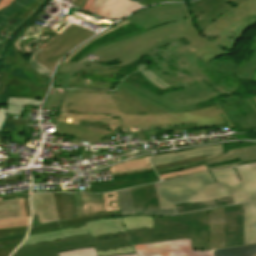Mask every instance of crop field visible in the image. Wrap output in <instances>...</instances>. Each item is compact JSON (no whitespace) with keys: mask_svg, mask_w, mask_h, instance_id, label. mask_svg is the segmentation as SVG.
<instances>
[{"mask_svg":"<svg viewBox=\"0 0 256 256\" xmlns=\"http://www.w3.org/2000/svg\"><path fill=\"white\" fill-rule=\"evenodd\" d=\"M126 19L148 32L105 47L99 46L89 53L98 57L94 61L59 65L53 86L67 88L71 75L78 73V70L101 71L122 67L148 54L158 64L151 71L179 91L157 96L128 79H124L119 88L167 113L187 112L219 103L232 123L241 125V130L256 127V115L245 103L243 96L222 98L198 106L222 93L234 92L241 83L233 77L237 69L235 60H213L207 65L178 41L184 38L178 26L184 25L185 19L181 4L149 7Z\"/></svg>","mask_w":256,"mask_h":256,"instance_id":"8a807250","label":"crop field"},{"mask_svg":"<svg viewBox=\"0 0 256 256\" xmlns=\"http://www.w3.org/2000/svg\"><path fill=\"white\" fill-rule=\"evenodd\" d=\"M66 91L52 88L42 109L60 107L59 112L62 113L115 114L121 118V128L166 125L194 120L198 125L161 131L222 124H228L230 128H234V125L218 104L187 113L167 114L119 88L115 90L114 94Z\"/></svg>","mask_w":256,"mask_h":256,"instance_id":"ac0d7876","label":"crop field"},{"mask_svg":"<svg viewBox=\"0 0 256 256\" xmlns=\"http://www.w3.org/2000/svg\"><path fill=\"white\" fill-rule=\"evenodd\" d=\"M160 209L231 196L243 207L244 245L256 244V164L229 167L154 184Z\"/></svg>","mask_w":256,"mask_h":256,"instance_id":"34b2d1b8","label":"crop field"},{"mask_svg":"<svg viewBox=\"0 0 256 256\" xmlns=\"http://www.w3.org/2000/svg\"><path fill=\"white\" fill-rule=\"evenodd\" d=\"M185 26H180L187 47L198 57L208 63L229 52L218 46L233 49L240 35L256 23V0H198L190 3L194 20L204 38L194 27L185 4Z\"/></svg>","mask_w":256,"mask_h":256,"instance_id":"412701ff","label":"crop field"},{"mask_svg":"<svg viewBox=\"0 0 256 256\" xmlns=\"http://www.w3.org/2000/svg\"><path fill=\"white\" fill-rule=\"evenodd\" d=\"M95 246L96 251L131 246L125 232L97 236L90 235L20 247L13 256H58L57 252Z\"/></svg>","mask_w":256,"mask_h":256,"instance_id":"f4fd0767","label":"crop field"},{"mask_svg":"<svg viewBox=\"0 0 256 256\" xmlns=\"http://www.w3.org/2000/svg\"><path fill=\"white\" fill-rule=\"evenodd\" d=\"M191 224L192 215L177 218L154 217V228L130 230L126 234L132 245L191 239Z\"/></svg>","mask_w":256,"mask_h":256,"instance_id":"dd49c442","label":"crop field"},{"mask_svg":"<svg viewBox=\"0 0 256 256\" xmlns=\"http://www.w3.org/2000/svg\"><path fill=\"white\" fill-rule=\"evenodd\" d=\"M94 35L93 32L87 29L73 25L49 44L47 48L39 54L37 59L47 68L53 70L56 63L66 53Z\"/></svg>","mask_w":256,"mask_h":256,"instance_id":"e52e79f7","label":"crop field"},{"mask_svg":"<svg viewBox=\"0 0 256 256\" xmlns=\"http://www.w3.org/2000/svg\"><path fill=\"white\" fill-rule=\"evenodd\" d=\"M139 256H212L210 250H191V240L160 242L135 246Z\"/></svg>","mask_w":256,"mask_h":256,"instance_id":"d8731c3e","label":"crop field"},{"mask_svg":"<svg viewBox=\"0 0 256 256\" xmlns=\"http://www.w3.org/2000/svg\"><path fill=\"white\" fill-rule=\"evenodd\" d=\"M118 196V206H119V213L121 217L126 216H136V215H152V216H164V217H177L183 215L194 214L200 211H208L210 209L227 207L234 205L233 203L221 206H215L211 208H205L185 213L177 214L176 209H168V210H141V209H133L129 190H122L117 192Z\"/></svg>","mask_w":256,"mask_h":256,"instance_id":"5a996713","label":"crop field"},{"mask_svg":"<svg viewBox=\"0 0 256 256\" xmlns=\"http://www.w3.org/2000/svg\"><path fill=\"white\" fill-rule=\"evenodd\" d=\"M79 73L80 76H77V74L72 76L68 88H97L109 90L112 77H119L120 75V67L101 72L79 71Z\"/></svg>","mask_w":256,"mask_h":256,"instance_id":"3316defc","label":"crop field"},{"mask_svg":"<svg viewBox=\"0 0 256 256\" xmlns=\"http://www.w3.org/2000/svg\"><path fill=\"white\" fill-rule=\"evenodd\" d=\"M243 245L241 205L225 208V246Z\"/></svg>","mask_w":256,"mask_h":256,"instance_id":"28ad6ade","label":"crop field"},{"mask_svg":"<svg viewBox=\"0 0 256 256\" xmlns=\"http://www.w3.org/2000/svg\"><path fill=\"white\" fill-rule=\"evenodd\" d=\"M114 115H94V114H62L58 121L66 122L67 118H73L72 124L115 131L120 128V119H112Z\"/></svg>","mask_w":256,"mask_h":256,"instance_id":"d1516ede","label":"crop field"},{"mask_svg":"<svg viewBox=\"0 0 256 256\" xmlns=\"http://www.w3.org/2000/svg\"><path fill=\"white\" fill-rule=\"evenodd\" d=\"M53 193L32 194L33 215H37L40 223L58 220L54 206Z\"/></svg>","mask_w":256,"mask_h":256,"instance_id":"22f410ed","label":"crop field"},{"mask_svg":"<svg viewBox=\"0 0 256 256\" xmlns=\"http://www.w3.org/2000/svg\"><path fill=\"white\" fill-rule=\"evenodd\" d=\"M209 248L224 246V208L207 212Z\"/></svg>","mask_w":256,"mask_h":256,"instance_id":"cbeb9de0","label":"crop field"},{"mask_svg":"<svg viewBox=\"0 0 256 256\" xmlns=\"http://www.w3.org/2000/svg\"><path fill=\"white\" fill-rule=\"evenodd\" d=\"M206 157H207V159L201 160L199 162H203V163H206L207 165H211V164L220 163V162L233 160V159H237V158H240V160H241V162H238V163H232V164H227V165H222V166L211 167L209 169L237 165V164H241L242 162L256 160V146L240 148V149H235V150H229L227 153L217 154V155H208Z\"/></svg>","mask_w":256,"mask_h":256,"instance_id":"5142ce71","label":"crop field"},{"mask_svg":"<svg viewBox=\"0 0 256 256\" xmlns=\"http://www.w3.org/2000/svg\"><path fill=\"white\" fill-rule=\"evenodd\" d=\"M56 133L96 143L111 131L87 128L58 122Z\"/></svg>","mask_w":256,"mask_h":256,"instance_id":"d9b57169","label":"crop field"},{"mask_svg":"<svg viewBox=\"0 0 256 256\" xmlns=\"http://www.w3.org/2000/svg\"><path fill=\"white\" fill-rule=\"evenodd\" d=\"M76 216L104 212L102 194H74Z\"/></svg>","mask_w":256,"mask_h":256,"instance_id":"733c2abd","label":"crop field"},{"mask_svg":"<svg viewBox=\"0 0 256 256\" xmlns=\"http://www.w3.org/2000/svg\"><path fill=\"white\" fill-rule=\"evenodd\" d=\"M236 64L239 66L236 71L237 77L251 81L256 69V36L247 44Z\"/></svg>","mask_w":256,"mask_h":256,"instance_id":"4a817a6b","label":"crop field"},{"mask_svg":"<svg viewBox=\"0 0 256 256\" xmlns=\"http://www.w3.org/2000/svg\"><path fill=\"white\" fill-rule=\"evenodd\" d=\"M129 190L134 208L159 209L157 195L153 184L131 188Z\"/></svg>","mask_w":256,"mask_h":256,"instance_id":"bc2a9ffb","label":"crop field"},{"mask_svg":"<svg viewBox=\"0 0 256 256\" xmlns=\"http://www.w3.org/2000/svg\"><path fill=\"white\" fill-rule=\"evenodd\" d=\"M139 8L141 7L130 0H106L97 15L119 19Z\"/></svg>","mask_w":256,"mask_h":256,"instance_id":"214f88e0","label":"crop field"},{"mask_svg":"<svg viewBox=\"0 0 256 256\" xmlns=\"http://www.w3.org/2000/svg\"><path fill=\"white\" fill-rule=\"evenodd\" d=\"M192 249H208L206 212L193 215Z\"/></svg>","mask_w":256,"mask_h":256,"instance_id":"92a150f3","label":"crop field"},{"mask_svg":"<svg viewBox=\"0 0 256 256\" xmlns=\"http://www.w3.org/2000/svg\"><path fill=\"white\" fill-rule=\"evenodd\" d=\"M85 224L91 237L125 231L120 217L99 219Z\"/></svg>","mask_w":256,"mask_h":256,"instance_id":"dafd665d","label":"crop field"},{"mask_svg":"<svg viewBox=\"0 0 256 256\" xmlns=\"http://www.w3.org/2000/svg\"><path fill=\"white\" fill-rule=\"evenodd\" d=\"M85 234H89L85 226L79 227V228H71V229L47 232V233L28 236L22 245L40 243L44 241L57 240V239L85 235Z\"/></svg>","mask_w":256,"mask_h":256,"instance_id":"00972430","label":"crop field"},{"mask_svg":"<svg viewBox=\"0 0 256 256\" xmlns=\"http://www.w3.org/2000/svg\"><path fill=\"white\" fill-rule=\"evenodd\" d=\"M159 181V178L149 179V180H127L121 181L116 183H109V184H90L91 186V193L95 192H108L112 190L128 188L138 185H143L151 182Z\"/></svg>","mask_w":256,"mask_h":256,"instance_id":"a9b5d70f","label":"crop field"},{"mask_svg":"<svg viewBox=\"0 0 256 256\" xmlns=\"http://www.w3.org/2000/svg\"><path fill=\"white\" fill-rule=\"evenodd\" d=\"M48 86L42 88L7 87V96L43 99Z\"/></svg>","mask_w":256,"mask_h":256,"instance_id":"4177f3b9","label":"crop field"},{"mask_svg":"<svg viewBox=\"0 0 256 256\" xmlns=\"http://www.w3.org/2000/svg\"><path fill=\"white\" fill-rule=\"evenodd\" d=\"M119 216L118 211L116 212H104V213H96L92 215H87V216H81V217H75L67 220H61L57 221L59 224V227H67V226H72V225H77V224H82L87 221H93L99 218H108V217H116Z\"/></svg>","mask_w":256,"mask_h":256,"instance_id":"730fd06b","label":"crop field"},{"mask_svg":"<svg viewBox=\"0 0 256 256\" xmlns=\"http://www.w3.org/2000/svg\"><path fill=\"white\" fill-rule=\"evenodd\" d=\"M6 85L9 86H24V87H36L32 82H30L26 78H21L12 73H5L1 76V87H0V94H3Z\"/></svg>","mask_w":256,"mask_h":256,"instance_id":"eef30255","label":"crop field"},{"mask_svg":"<svg viewBox=\"0 0 256 256\" xmlns=\"http://www.w3.org/2000/svg\"><path fill=\"white\" fill-rule=\"evenodd\" d=\"M21 217L19 200L0 201V220Z\"/></svg>","mask_w":256,"mask_h":256,"instance_id":"ae1a2a85","label":"crop field"},{"mask_svg":"<svg viewBox=\"0 0 256 256\" xmlns=\"http://www.w3.org/2000/svg\"><path fill=\"white\" fill-rule=\"evenodd\" d=\"M254 254H256V245L214 250V256H253Z\"/></svg>","mask_w":256,"mask_h":256,"instance_id":"d3111659","label":"crop field"},{"mask_svg":"<svg viewBox=\"0 0 256 256\" xmlns=\"http://www.w3.org/2000/svg\"><path fill=\"white\" fill-rule=\"evenodd\" d=\"M126 230L151 228L153 227V218L151 216H136L122 218Z\"/></svg>","mask_w":256,"mask_h":256,"instance_id":"750c4746","label":"crop field"},{"mask_svg":"<svg viewBox=\"0 0 256 256\" xmlns=\"http://www.w3.org/2000/svg\"><path fill=\"white\" fill-rule=\"evenodd\" d=\"M222 152L223 151H222V144H221L217 146L202 147V148H197L190 151L179 152L177 154L188 159L191 157L203 156L207 154H217Z\"/></svg>","mask_w":256,"mask_h":256,"instance_id":"bd1437ed","label":"crop field"},{"mask_svg":"<svg viewBox=\"0 0 256 256\" xmlns=\"http://www.w3.org/2000/svg\"><path fill=\"white\" fill-rule=\"evenodd\" d=\"M20 75L28 78L30 81H32L37 87H41L44 85L49 84V79H46L37 73H34V71L30 68L28 63L22 67L21 71L19 72Z\"/></svg>","mask_w":256,"mask_h":256,"instance_id":"1d83c4d3","label":"crop field"},{"mask_svg":"<svg viewBox=\"0 0 256 256\" xmlns=\"http://www.w3.org/2000/svg\"><path fill=\"white\" fill-rule=\"evenodd\" d=\"M232 200L230 197L221 199V200H216V201H211L207 203H197V204H189V205H181V206H176L178 213L180 212H185V211H190V210H195V209H200V208H205V207H211L215 205H221V204H227L231 203Z\"/></svg>","mask_w":256,"mask_h":256,"instance_id":"120bbe31","label":"crop field"},{"mask_svg":"<svg viewBox=\"0 0 256 256\" xmlns=\"http://www.w3.org/2000/svg\"><path fill=\"white\" fill-rule=\"evenodd\" d=\"M43 51V49L41 48H36L35 51L33 52L30 60H29V65H31V68L36 71L38 74L42 75V76H45L47 78L50 79L51 77V73L52 71H50L49 69H47L44 65H42L41 63H39L37 61V56L38 54Z\"/></svg>","mask_w":256,"mask_h":256,"instance_id":"d32e631a","label":"crop field"},{"mask_svg":"<svg viewBox=\"0 0 256 256\" xmlns=\"http://www.w3.org/2000/svg\"><path fill=\"white\" fill-rule=\"evenodd\" d=\"M130 22L126 21L125 19L120 21L119 23L115 24L114 26H112L111 28H109L108 30H106L105 32H103L102 34L96 36L95 38L89 40L88 42L82 44L81 46H79L77 49H75L73 52H71L61 63H65V62H69L71 60V58L77 54L79 51H81L84 47H86L88 44H90L91 42H93L94 40H96L97 38L115 30L118 29L126 24H128Z\"/></svg>","mask_w":256,"mask_h":256,"instance_id":"5866460e","label":"crop field"},{"mask_svg":"<svg viewBox=\"0 0 256 256\" xmlns=\"http://www.w3.org/2000/svg\"><path fill=\"white\" fill-rule=\"evenodd\" d=\"M138 70H140L144 76L154 85L161 89H165L167 86L163 81H161L156 75H154L150 70H144L146 66L144 64H139L136 66Z\"/></svg>","mask_w":256,"mask_h":256,"instance_id":"028f5c9d","label":"crop field"},{"mask_svg":"<svg viewBox=\"0 0 256 256\" xmlns=\"http://www.w3.org/2000/svg\"><path fill=\"white\" fill-rule=\"evenodd\" d=\"M58 254L59 256H96L94 247L61 252ZM116 256H136V254L116 255Z\"/></svg>","mask_w":256,"mask_h":256,"instance_id":"e1f06a70","label":"crop field"},{"mask_svg":"<svg viewBox=\"0 0 256 256\" xmlns=\"http://www.w3.org/2000/svg\"><path fill=\"white\" fill-rule=\"evenodd\" d=\"M65 219L75 216L72 193H62Z\"/></svg>","mask_w":256,"mask_h":256,"instance_id":"0bd39190","label":"crop field"},{"mask_svg":"<svg viewBox=\"0 0 256 256\" xmlns=\"http://www.w3.org/2000/svg\"><path fill=\"white\" fill-rule=\"evenodd\" d=\"M5 123L8 124H14L15 128L14 129H7V128H1L0 132H6V133H13L19 135L20 129L24 127L28 122H35V121H28V120H22V119H10L6 118Z\"/></svg>","mask_w":256,"mask_h":256,"instance_id":"b80d0937","label":"crop field"},{"mask_svg":"<svg viewBox=\"0 0 256 256\" xmlns=\"http://www.w3.org/2000/svg\"><path fill=\"white\" fill-rule=\"evenodd\" d=\"M105 211H116L117 206V196L116 192H110L103 194Z\"/></svg>","mask_w":256,"mask_h":256,"instance_id":"c035e120","label":"crop field"},{"mask_svg":"<svg viewBox=\"0 0 256 256\" xmlns=\"http://www.w3.org/2000/svg\"><path fill=\"white\" fill-rule=\"evenodd\" d=\"M178 160H184V159L176 156L173 153H170V154L154 156L150 159V162L152 163V165H155V164L167 163V162L178 161Z\"/></svg>","mask_w":256,"mask_h":256,"instance_id":"c21b1889","label":"crop field"},{"mask_svg":"<svg viewBox=\"0 0 256 256\" xmlns=\"http://www.w3.org/2000/svg\"><path fill=\"white\" fill-rule=\"evenodd\" d=\"M205 169H207V168L205 165H203L200 167H195V168L180 170V171H176V172L161 174L159 176H160L161 180H163V179H167V178H171V177H175V176H181V175H185V174H189V173H193V172H197V171H201V170H205Z\"/></svg>","mask_w":256,"mask_h":256,"instance_id":"03da06ac","label":"crop field"},{"mask_svg":"<svg viewBox=\"0 0 256 256\" xmlns=\"http://www.w3.org/2000/svg\"><path fill=\"white\" fill-rule=\"evenodd\" d=\"M42 100L36 99H22V98H9L8 104L26 107L27 104L40 106Z\"/></svg>","mask_w":256,"mask_h":256,"instance_id":"b54c1fbb","label":"crop field"},{"mask_svg":"<svg viewBox=\"0 0 256 256\" xmlns=\"http://www.w3.org/2000/svg\"><path fill=\"white\" fill-rule=\"evenodd\" d=\"M22 240L23 238L0 242V245L9 244L8 246L0 250V256H9L10 253L22 242Z\"/></svg>","mask_w":256,"mask_h":256,"instance_id":"5d738f31","label":"crop field"},{"mask_svg":"<svg viewBox=\"0 0 256 256\" xmlns=\"http://www.w3.org/2000/svg\"><path fill=\"white\" fill-rule=\"evenodd\" d=\"M12 51L16 56L15 63L12 65V55H8L6 64L13 68L20 69L27 62L23 59V57L14 48H12ZM19 65H21V67H19Z\"/></svg>","mask_w":256,"mask_h":256,"instance_id":"d23c7cc5","label":"crop field"},{"mask_svg":"<svg viewBox=\"0 0 256 256\" xmlns=\"http://www.w3.org/2000/svg\"><path fill=\"white\" fill-rule=\"evenodd\" d=\"M135 253L133 247L97 252V256Z\"/></svg>","mask_w":256,"mask_h":256,"instance_id":"425ffa30","label":"crop field"},{"mask_svg":"<svg viewBox=\"0 0 256 256\" xmlns=\"http://www.w3.org/2000/svg\"><path fill=\"white\" fill-rule=\"evenodd\" d=\"M23 108L8 105V110L0 109V128L3 124V120L6 117V113L19 114Z\"/></svg>","mask_w":256,"mask_h":256,"instance_id":"25e5ab78","label":"crop field"},{"mask_svg":"<svg viewBox=\"0 0 256 256\" xmlns=\"http://www.w3.org/2000/svg\"><path fill=\"white\" fill-rule=\"evenodd\" d=\"M53 198H54L55 206L58 212L59 220L64 219L61 193H54Z\"/></svg>","mask_w":256,"mask_h":256,"instance_id":"73cf0c24","label":"crop field"},{"mask_svg":"<svg viewBox=\"0 0 256 256\" xmlns=\"http://www.w3.org/2000/svg\"><path fill=\"white\" fill-rule=\"evenodd\" d=\"M0 200H2V198H0ZM20 209H21V213H22V218H16V219H10V220H2V221H0V225L29 221V218H26L25 214H24L22 199L20 200Z\"/></svg>","mask_w":256,"mask_h":256,"instance_id":"89e229c0","label":"crop field"},{"mask_svg":"<svg viewBox=\"0 0 256 256\" xmlns=\"http://www.w3.org/2000/svg\"><path fill=\"white\" fill-rule=\"evenodd\" d=\"M59 228L57 222H51L43 225L31 226L30 232L32 231H40V230H48V229H56Z\"/></svg>","mask_w":256,"mask_h":256,"instance_id":"1f2cbd36","label":"crop field"},{"mask_svg":"<svg viewBox=\"0 0 256 256\" xmlns=\"http://www.w3.org/2000/svg\"><path fill=\"white\" fill-rule=\"evenodd\" d=\"M26 229L27 227H20V228L9 229V230H0V236L26 233Z\"/></svg>","mask_w":256,"mask_h":256,"instance_id":"dbb93151","label":"crop field"},{"mask_svg":"<svg viewBox=\"0 0 256 256\" xmlns=\"http://www.w3.org/2000/svg\"><path fill=\"white\" fill-rule=\"evenodd\" d=\"M43 0H36L34 3L29 5L23 13L20 15V18H27L28 15L42 2Z\"/></svg>","mask_w":256,"mask_h":256,"instance_id":"0fb4a251","label":"crop field"},{"mask_svg":"<svg viewBox=\"0 0 256 256\" xmlns=\"http://www.w3.org/2000/svg\"><path fill=\"white\" fill-rule=\"evenodd\" d=\"M104 2L105 0H95V2L90 6V8L87 11L96 14V12L99 10V8L102 6Z\"/></svg>","mask_w":256,"mask_h":256,"instance_id":"1d79db26","label":"crop field"},{"mask_svg":"<svg viewBox=\"0 0 256 256\" xmlns=\"http://www.w3.org/2000/svg\"><path fill=\"white\" fill-rule=\"evenodd\" d=\"M188 162H193V161L184 160V161L172 162V163H167V164L155 165L153 167H154V169H161V168L184 164V163H188Z\"/></svg>","mask_w":256,"mask_h":256,"instance_id":"9d1cf04e","label":"crop field"},{"mask_svg":"<svg viewBox=\"0 0 256 256\" xmlns=\"http://www.w3.org/2000/svg\"><path fill=\"white\" fill-rule=\"evenodd\" d=\"M167 1H185V0H146L144 2L139 3L142 6H146L148 4H154V3H161V2H167Z\"/></svg>","mask_w":256,"mask_h":256,"instance_id":"447ae74e","label":"crop field"},{"mask_svg":"<svg viewBox=\"0 0 256 256\" xmlns=\"http://www.w3.org/2000/svg\"><path fill=\"white\" fill-rule=\"evenodd\" d=\"M28 223L29 222L19 223V224H12V225H3V226H0V229H9V228H14V227L27 226Z\"/></svg>","mask_w":256,"mask_h":256,"instance_id":"0765c3eb","label":"crop field"},{"mask_svg":"<svg viewBox=\"0 0 256 256\" xmlns=\"http://www.w3.org/2000/svg\"><path fill=\"white\" fill-rule=\"evenodd\" d=\"M14 0H2L0 2V11L10 6Z\"/></svg>","mask_w":256,"mask_h":256,"instance_id":"db79e9e6","label":"crop field"},{"mask_svg":"<svg viewBox=\"0 0 256 256\" xmlns=\"http://www.w3.org/2000/svg\"><path fill=\"white\" fill-rule=\"evenodd\" d=\"M25 234L22 235H15V236H8V237H0V241L2 240H9V239H16V238H22ZM6 245L0 246V249L3 248Z\"/></svg>","mask_w":256,"mask_h":256,"instance_id":"7b73153f","label":"crop field"},{"mask_svg":"<svg viewBox=\"0 0 256 256\" xmlns=\"http://www.w3.org/2000/svg\"><path fill=\"white\" fill-rule=\"evenodd\" d=\"M76 92H98V93H114L115 91H101V90H69Z\"/></svg>","mask_w":256,"mask_h":256,"instance_id":"78b8030e","label":"crop field"},{"mask_svg":"<svg viewBox=\"0 0 256 256\" xmlns=\"http://www.w3.org/2000/svg\"><path fill=\"white\" fill-rule=\"evenodd\" d=\"M23 203H24L25 214L27 217H30L28 199L23 200Z\"/></svg>","mask_w":256,"mask_h":256,"instance_id":"0f1d7ab4","label":"crop field"},{"mask_svg":"<svg viewBox=\"0 0 256 256\" xmlns=\"http://www.w3.org/2000/svg\"><path fill=\"white\" fill-rule=\"evenodd\" d=\"M84 224H82V225H77V226H72V227H79V226H83ZM67 228H70V227H67ZM62 229H64V228H62ZM56 230H59V229H56ZM48 231H53V230H48ZM42 232H47V231H40V232H32V233H29L28 235H30V234H36V233H42Z\"/></svg>","mask_w":256,"mask_h":256,"instance_id":"e1d0b9f6","label":"crop field"},{"mask_svg":"<svg viewBox=\"0 0 256 256\" xmlns=\"http://www.w3.org/2000/svg\"><path fill=\"white\" fill-rule=\"evenodd\" d=\"M83 0H76V2L73 4V6L78 7L80 6V4L82 3Z\"/></svg>","mask_w":256,"mask_h":256,"instance_id":"ae633e8c","label":"crop field"},{"mask_svg":"<svg viewBox=\"0 0 256 256\" xmlns=\"http://www.w3.org/2000/svg\"><path fill=\"white\" fill-rule=\"evenodd\" d=\"M52 154L54 155V158L58 157L54 152H52ZM54 158H52V159H54ZM49 160H51V159H49ZM45 161H48V160H45ZM45 161H41V163L45 162ZM34 162H40V161L34 160Z\"/></svg>","mask_w":256,"mask_h":256,"instance_id":"d14b1444","label":"crop field"},{"mask_svg":"<svg viewBox=\"0 0 256 256\" xmlns=\"http://www.w3.org/2000/svg\"><path fill=\"white\" fill-rule=\"evenodd\" d=\"M205 158H206V157L203 156V157L191 158V160L197 161V160H201V159H205Z\"/></svg>","mask_w":256,"mask_h":256,"instance_id":"c39391a2","label":"crop field"},{"mask_svg":"<svg viewBox=\"0 0 256 256\" xmlns=\"http://www.w3.org/2000/svg\"><path fill=\"white\" fill-rule=\"evenodd\" d=\"M88 0H84L82 5L80 6V9H83V7L85 6V4L87 3Z\"/></svg>","mask_w":256,"mask_h":256,"instance_id":"ade564c9","label":"crop field"},{"mask_svg":"<svg viewBox=\"0 0 256 256\" xmlns=\"http://www.w3.org/2000/svg\"><path fill=\"white\" fill-rule=\"evenodd\" d=\"M2 142H4V138H3V136L0 133V143H2Z\"/></svg>","mask_w":256,"mask_h":256,"instance_id":"c5b07064","label":"crop field"},{"mask_svg":"<svg viewBox=\"0 0 256 256\" xmlns=\"http://www.w3.org/2000/svg\"><path fill=\"white\" fill-rule=\"evenodd\" d=\"M137 3L141 2V1H144V0H135Z\"/></svg>","mask_w":256,"mask_h":256,"instance_id":"c3a83c6f","label":"crop field"},{"mask_svg":"<svg viewBox=\"0 0 256 256\" xmlns=\"http://www.w3.org/2000/svg\"><path fill=\"white\" fill-rule=\"evenodd\" d=\"M254 100H255V102H256V96H254V97H252Z\"/></svg>","mask_w":256,"mask_h":256,"instance_id":"fb207236","label":"crop field"},{"mask_svg":"<svg viewBox=\"0 0 256 256\" xmlns=\"http://www.w3.org/2000/svg\"><path fill=\"white\" fill-rule=\"evenodd\" d=\"M256 256V255H255Z\"/></svg>","mask_w":256,"mask_h":256,"instance_id":"7312dd0a","label":"crop field"}]
</instances>
